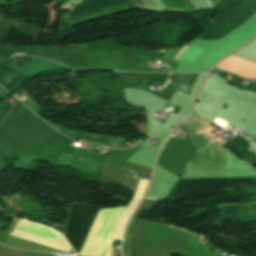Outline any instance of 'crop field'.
Here are the masks:
<instances>
[{
	"label": "crop field",
	"mask_w": 256,
	"mask_h": 256,
	"mask_svg": "<svg viewBox=\"0 0 256 256\" xmlns=\"http://www.w3.org/2000/svg\"><path fill=\"white\" fill-rule=\"evenodd\" d=\"M252 141L256 142V136L250 137Z\"/></svg>",
	"instance_id": "obj_6"
},
{
	"label": "crop field",
	"mask_w": 256,
	"mask_h": 256,
	"mask_svg": "<svg viewBox=\"0 0 256 256\" xmlns=\"http://www.w3.org/2000/svg\"><path fill=\"white\" fill-rule=\"evenodd\" d=\"M133 4H137V5H144V3L141 0H130Z\"/></svg>",
	"instance_id": "obj_4"
},
{
	"label": "crop field",
	"mask_w": 256,
	"mask_h": 256,
	"mask_svg": "<svg viewBox=\"0 0 256 256\" xmlns=\"http://www.w3.org/2000/svg\"><path fill=\"white\" fill-rule=\"evenodd\" d=\"M168 11L190 12L183 0H162Z\"/></svg>",
	"instance_id": "obj_3"
},
{
	"label": "crop field",
	"mask_w": 256,
	"mask_h": 256,
	"mask_svg": "<svg viewBox=\"0 0 256 256\" xmlns=\"http://www.w3.org/2000/svg\"><path fill=\"white\" fill-rule=\"evenodd\" d=\"M187 48V46L184 48V49H186ZM182 54V53H181Z\"/></svg>",
	"instance_id": "obj_9"
},
{
	"label": "crop field",
	"mask_w": 256,
	"mask_h": 256,
	"mask_svg": "<svg viewBox=\"0 0 256 256\" xmlns=\"http://www.w3.org/2000/svg\"><path fill=\"white\" fill-rule=\"evenodd\" d=\"M71 5H63L62 7H64V8H69Z\"/></svg>",
	"instance_id": "obj_7"
},
{
	"label": "crop field",
	"mask_w": 256,
	"mask_h": 256,
	"mask_svg": "<svg viewBox=\"0 0 256 256\" xmlns=\"http://www.w3.org/2000/svg\"><path fill=\"white\" fill-rule=\"evenodd\" d=\"M112 255V251H111V254H110V256Z\"/></svg>",
	"instance_id": "obj_8"
},
{
	"label": "crop field",
	"mask_w": 256,
	"mask_h": 256,
	"mask_svg": "<svg viewBox=\"0 0 256 256\" xmlns=\"http://www.w3.org/2000/svg\"><path fill=\"white\" fill-rule=\"evenodd\" d=\"M212 3H213V5L215 6V4L217 3V1L218 0H210Z\"/></svg>",
	"instance_id": "obj_5"
},
{
	"label": "crop field",
	"mask_w": 256,
	"mask_h": 256,
	"mask_svg": "<svg viewBox=\"0 0 256 256\" xmlns=\"http://www.w3.org/2000/svg\"><path fill=\"white\" fill-rule=\"evenodd\" d=\"M99 207L87 204H73L68 227L64 237L78 253Z\"/></svg>",
	"instance_id": "obj_1"
},
{
	"label": "crop field",
	"mask_w": 256,
	"mask_h": 256,
	"mask_svg": "<svg viewBox=\"0 0 256 256\" xmlns=\"http://www.w3.org/2000/svg\"><path fill=\"white\" fill-rule=\"evenodd\" d=\"M129 2V0H82L70 10L68 16L71 22L78 21L108 8Z\"/></svg>",
	"instance_id": "obj_2"
}]
</instances>
